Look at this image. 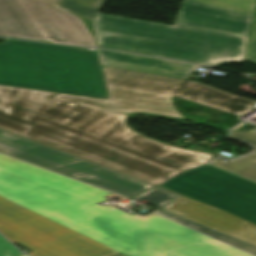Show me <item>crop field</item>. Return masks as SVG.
<instances>
[{
    "label": "crop field",
    "mask_w": 256,
    "mask_h": 256,
    "mask_svg": "<svg viewBox=\"0 0 256 256\" xmlns=\"http://www.w3.org/2000/svg\"><path fill=\"white\" fill-rule=\"evenodd\" d=\"M108 100L0 86V129L160 185L213 159L142 137L122 112L183 118L177 96L234 115L252 100L189 80L101 66Z\"/></svg>",
    "instance_id": "obj_1"
},
{
    "label": "crop field",
    "mask_w": 256,
    "mask_h": 256,
    "mask_svg": "<svg viewBox=\"0 0 256 256\" xmlns=\"http://www.w3.org/2000/svg\"><path fill=\"white\" fill-rule=\"evenodd\" d=\"M107 193L0 154V233L32 256H251Z\"/></svg>",
    "instance_id": "obj_2"
},
{
    "label": "crop field",
    "mask_w": 256,
    "mask_h": 256,
    "mask_svg": "<svg viewBox=\"0 0 256 256\" xmlns=\"http://www.w3.org/2000/svg\"><path fill=\"white\" fill-rule=\"evenodd\" d=\"M251 17L183 0L173 25L96 13L97 47L215 66L243 60Z\"/></svg>",
    "instance_id": "obj_3"
},
{
    "label": "crop field",
    "mask_w": 256,
    "mask_h": 256,
    "mask_svg": "<svg viewBox=\"0 0 256 256\" xmlns=\"http://www.w3.org/2000/svg\"><path fill=\"white\" fill-rule=\"evenodd\" d=\"M0 85L107 99L95 52L12 39L0 44Z\"/></svg>",
    "instance_id": "obj_4"
},
{
    "label": "crop field",
    "mask_w": 256,
    "mask_h": 256,
    "mask_svg": "<svg viewBox=\"0 0 256 256\" xmlns=\"http://www.w3.org/2000/svg\"><path fill=\"white\" fill-rule=\"evenodd\" d=\"M61 0H0V36L91 46L80 19L58 8Z\"/></svg>",
    "instance_id": "obj_5"
},
{
    "label": "crop field",
    "mask_w": 256,
    "mask_h": 256,
    "mask_svg": "<svg viewBox=\"0 0 256 256\" xmlns=\"http://www.w3.org/2000/svg\"><path fill=\"white\" fill-rule=\"evenodd\" d=\"M159 187L207 203L256 225V183L208 164Z\"/></svg>",
    "instance_id": "obj_6"
},
{
    "label": "crop field",
    "mask_w": 256,
    "mask_h": 256,
    "mask_svg": "<svg viewBox=\"0 0 256 256\" xmlns=\"http://www.w3.org/2000/svg\"><path fill=\"white\" fill-rule=\"evenodd\" d=\"M0 152L129 198L152 187L1 131Z\"/></svg>",
    "instance_id": "obj_7"
},
{
    "label": "crop field",
    "mask_w": 256,
    "mask_h": 256,
    "mask_svg": "<svg viewBox=\"0 0 256 256\" xmlns=\"http://www.w3.org/2000/svg\"><path fill=\"white\" fill-rule=\"evenodd\" d=\"M166 210L256 245V226L218 208L179 196Z\"/></svg>",
    "instance_id": "obj_8"
},
{
    "label": "crop field",
    "mask_w": 256,
    "mask_h": 256,
    "mask_svg": "<svg viewBox=\"0 0 256 256\" xmlns=\"http://www.w3.org/2000/svg\"><path fill=\"white\" fill-rule=\"evenodd\" d=\"M100 63L104 66L144 71L186 79L196 65L124 54L97 49Z\"/></svg>",
    "instance_id": "obj_9"
},
{
    "label": "crop field",
    "mask_w": 256,
    "mask_h": 256,
    "mask_svg": "<svg viewBox=\"0 0 256 256\" xmlns=\"http://www.w3.org/2000/svg\"><path fill=\"white\" fill-rule=\"evenodd\" d=\"M176 196L175 195H172V194H169V193H166L164 191H161V190H158V189H155V188H152L136 197H134L133 199L135 200H144V201H147L148 204H151V205H154V206H157L159 207L158 209H156L155 213H158L160 215H163L165 217H168L172 220H175L177 222H180L182 224H185L187 226H190L198 231H201L209 236H212L216 239H219L223 242H226L230 245H233L239 249H242L246 252H249L253 255H256V247H253L251 245H248V244H245L243 242H240V241H237L235 239H232L230 237H227L225 235H222L220 233H217L215 231H212V230H209L207 228H204L202 226H199L197 224H194L192 222H189L187 220H184L182 218H179L177 216H174V215H171L169 213H166L164 211H162L161 209L167 204L169 203L173 198H175Z\"/></svg>",
    "instance_id": "obj_10"
},
{
    "label": "crop field",
    "mask_w": 256,
    "mask_h": 256,
    "mask_svg": "<svg viewBox=\"0 0 256 256\" xmlns=\"http://www.w3.org/2000/svg\"><path fill=\"white\" fill-rule=\"evenodd\" d=\"M230 137L241 139L256 146V132L237 133L230 132ZM212 165L235 172L243 177L256 181V154L231 162H223L221 159L211 161Z\"/></svg>",
    "instance_id": "obj_11"
},
{
    "label": "crop field",
    "mask_w": 256,
    "mask_h": 256,
    "mask_svg": "<svg viewBox=\"0 0 256 256\" xmlns=\"http://www.w3.org/2000/svg\"><path fill=\"white\" fill-rule=\"evenodd\" d=\"M104 0H63L61 7L90 21Z\"/></svg>",
    "instance_id": "obj_12"
},
{
    "label": "crop field",
    "mask_w": 256,
    "mask_h": 256,
    "mask_svg": "<svg viewBox=\"0 0 256 256\" xmlns=\"http://www.w3.org/2000/svg\"><path fill=\"white\" fill-rule=\"evenodd\" d=\"M202 3L234 11L247 16H254L256 4L246 0H196Z\"/></svg>",
    "instance_id": "obj_13"
},
{
    "label": "crop field",
    "mask_w": 256,
    "mask_h": 256,
    "mask_svg": "<svg viewBox=\"0 0 256 256\" xmlns=\"http://www.w3.org/2000/svg\"><path fill=\"white\" fill-rule=\"evenodd\" d=\"M245 60L256 64V16L253 23L251 38H249L248 46L245 54Z\"/></svg>",
    "instance_id": "obj_14"
},
{
    "label": "crop field",
    "mask_w": 256,
    "mask_h": 256,
    "mask_svg": "<svg viewBox=\"0 0 256 256\" xmlns=\"http://www.w3.org/2000/svg\"><path fill=\"white\" fill-rule=\"evenodd\" d=\"M22 255L15 247L0 236V256H20Z\"/></svg>",
    "instance_id": "obj_15"
},
{
    "label": "crop field",
    "mask_w": 256,
    "mask_h": 256,
    "mask_svg": "<svg viewBox=\"0 0 256 256\" xmlns=\"http://www.w3.org/2000/svg\"><path fill=\"white\" fill-rule=\"evenodd\" d=\"M114 256H123V255H121V254H118V255H114Z\"/></svg>",
    "instance_id": "obj_16"
},
{
    "label": "crop field",
    "mask_w": 256,
    "mask_h": 256,
    "mask_svg": "<svg viewBox=\"0 0 256 256\" xmlns=\"http://www.w3.org/2000/svg\"><path fill=\"white\" fill-rule=\"evenodd\" d=\"M249 1H253V2H256V0H249Z\"/></svg>",
    "instance_id": "obj_17"
},
{
    "label": "crop field",
    "mask_w": 256,
    "mask_h": 256,
    "mask_svg": "<svg viewBox=\"0 0 256 256\" xmlns=\"http://www.w3.org/2000/svg\"><path fill=\"white\" fill-rule=\"evenodd\" d=\"M22 256H25V255H22Z\"/></svg>",
    "instance_id": "obj_18"
}]
</instances>
